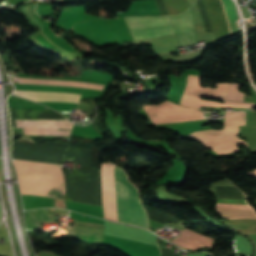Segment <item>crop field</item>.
<instances>
[{"mask_svg":"<svg viewBox=\"0 0 256 256\" xmlns=\"http://www.w3.org/2000/svg\"><path fill=\"white\" fill-rule=\"evenodd\" d=\"M102 194L104 215L106 219L135 225L148 229L147 217L137 194V189L127 180L126 174L120 169L121 197L119 168L112 164H102Z\"/></svg>","mask_w":256,"mask_h":256,"instance_id":"1","label":"crop field"},{"mask_svg":"<svg viewBox=\"0 0 256 256\" xmlns=\"http://www.w3.org/2000/svg\"><path fill=\"white\" fill-rule=\"evenodd\" d=\"M13 163L23 194L64 199L65 187L60 166L16 160Z\"/></svg>","mask_w":256,"mask_h":256,"instance_id":"2","label":"crop field"},{"mask_svg":"<svg viewBox=\"0 0 256 256\" xmlns=\"http://www.w3.org/2000/svg\"><path fill=\"white\" fill-rule=\"evenodd\" d=\"M246 111H226L224 128L222 130H208L191 133L190 136L199 141L206 148H212L218 154L239 151L237 145H247L236 135L239 125H245Z\"/></svg>","mask_w":256,"mask_h":256,"instance_id":"3","label":"crop field"},{"mask_svg":"<svg viewBox=\"0 0 256 256\" xmlns=\"http://www.w3.org/2000/svg\"><path fill=\"white\" fill-rule=\"evenodd\" d=\"M72 32L98 47L133 39L124 18L76 23Z\"/></svg>","mask_w":256,"mask_h":256,"instance_id":"4","label":"crop field"},{"mask_svg":"<svg viewBox=\"0 0 256 256\" xmlns=\"http://www.w3.org/2000/svg\"><path fill=\"white\" fill-rule=\"evenodd\" d=\"M18 83L26 84H43V85H61V86H78V87H95L103 88L105 83L98 82H83V81H68V80H53V79H38V78H23L16 77ZM14 94L28 98L33 101H57V102H78L80 94L66 93L57 91H47L29 88L16 87Z\"/></svg>","mask_w":256,"mask_h":256,"instance_id":"5","label":"crop field"},{"mask_svg":"<svg viewBox=\"0 0 256 256\" xmlns=\"http://www.w3.org/2000/svg\"><path fill=\"white\" fill-rule=\"evenodd\" d=\"M200 76L189 75L187 89L181 100V105L200 108V106H215V107H246L254 108L255 103H236L226 101L228 85L229 83L217 84V86L212 89L210 87H202L199 84ZM200 96L215 98L222 100L224 103L210 102L200 100Z\"/></svg>","mask_w":256,"mask_h":256,"instance_id":"6","label":"crop field"},{"mask_svg":"<svg viewBox=\"0 0 256 256\" xmlns=\"http://www.w3.org/2000/svg\"><path fill=\"white\" fill-rule=\"evenodd\" d=\"M144 108L149 114L153 124L204 119L202 116L203 112L182 108L170 101H165L160 105L146 106Z\"/></svg>","mask_w":256,"mask_h":256,"instance_id":"7","label":"crop field"},{"mask_svg":"<svg viewBox=\"0 0 256 256\" xmlns=\"http://www.w3.org/2000/svg\"><path fill=\"white\" fill-rule=\"evenodd\" d=\"M130 30L171 24L168 16L163 17H127ZM134 39L153 38L174 33L172 25L131 31Z\"/></svg>","mask_w":256,"mask_h":256,"instance_id":"8","label":"crop field"},{"mask_svg":"<svg viewBox=\"0 0 256 256\" xmlns=\"http://www.w3.org/2000/svg\"><path fill=\"white\" fill-rule=\"evenodd\" d=\"M8 105L9 108L53 111L42 105L13 96H9ZM72 126L73 124L70 122L12 121L13 129H71Z\"/></svg>","mask_w":256,"mask_h":256,"instance_id":"9","label":"crop field"},{"mask_svg":"<svg viewBox=\"0 0 256 256\" xmlns=\"http://www.w3.org/2000/svg\"><path fill=\"white\" fill-rule=\"evenodd\" d=\"M181 46L197 43L191 8L179 16H169Z\"/></svg>","mask_w":256,"mask_h":256,"instance_id":"10","label":"crop field"},{"mask_svg":"<svg viewBox=\"0 0 256 256\" xmlns=\"http://www.w3.org/2000/svg\"><path fill=\"white\" fill-rule=\"evenodd\" d=\"M203 1L208 12V16L211 22L214 35H215V39L218 40L224 36L230 35L229 34L230 28L228 31V26L225 19L226 13L224 15V11L222 8L223 5L221 6L222 2L220 4L219 0H203ZM227 22H228V19H227Z\"/></svg>","mask_w":256,"mask_h":256,"instance_id":"11","label":"crop field"},{"mask_svg":"<svg viewBox=\"0 0 256 256\" xmlns=\"http://www.w3.org/2000/svg\"><path fill=\"white\" fill-rule=\"evenodd\" d=\"M104 243L116 245L130 256H160L158 247L104 236Z\"/></svg>","mask_w":256,"mask_h":256,"instance_id":"12","label":"crop field"},{"mask_svg":"<svg viewBox=\"0 0 256 256\" xmlns=\"http://www.w3.org/2000/svg\"><path fill=\"white\" fill-rule=\"evenodd\" d=\"M91 19H103L85 14L84 6L73 8H62L61 14L57 21V26L69 30L72 25L78 21L91 20Z\"/></svg>","mask_w":256,"mask_h":256,"instance_id":"13","label":"crop field"},{"mask_svg":"<svg viewBox=\"0 0 256 256\" xmlns=\"http://www.w3.org/2000/svg\"><path fill=\"white\" fill-rule=\"evenodd\" d=\"M169 15H178L185 11L189 5L187 0H164Z\"/></svg>","mask_w":256,"mask_h":256,"instance_id":"14","label":"crop field"},{"mask_svg":"<svg viewBox=\"0 0 256 256\" xmlns=\"http://www.w3.org/2000/svg\"><path fill=\"white\" fill-rule=\"evenodd\" d=\"M239 85L230 83L227 100L243 102L244 94L238 92Z\"/></svg>","mask_w":256,"mask_h":256,"instance_id":"15","label":"crop field"},{"mask_svg":"<svg viewBox=\"0 0 256 256\" xmlns=\"http://www.w3.org/2000/svg\"><path fill=\"white\" fill-rule=\"evenodd\" d=\"M247 237H249L252 242L254 243V246H255V254L254 256H256V234H253V235H246Z\"/></svg>","mask_w":256,"mask_h":256,"instance_id":"16","label":"crop field"},{"mask_svg":"<svg viewBox=\"0 0 256 256\" xmlns=\"http://www.w3.org/2000/svg\"><path fill=\"white\" fill-rule=\"evenodd\" d=\"M249 176H255L256 177V170L255 172H252V173H248Z\"/></svg>","mask_w":256,"mask_h":256,"instance_id":"17","label":"crop field"},{"mask_svg":"<svg viewBox=\"0 0 256 256\" xmlns=\"http://www.w3.org/2000/svg\"><path fill=\"white\" fill-rule=\"evenodd\" d=\"M1 216H2V212H1V208H0V218H1Z\"/></svg>","mask_w":256,"mask_h":256,"instance_id":"18","label":"crop field"}]
</instances>
